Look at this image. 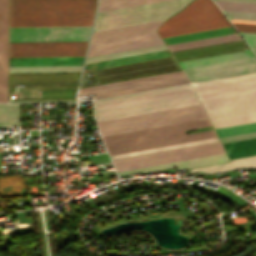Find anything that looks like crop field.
Listing matches in <instances>:
<instances>
[{
	"label": "crop field",
	"mask_w": 256,
	"mask_h": 256,
	"mask_svg": "<svg viewBox=\"0 0 256 256\" xmlns=\"http://www.w3.org/2000/svg\"><path fill=\"white\" fill-rule=\"evenodd\" d=\"M193 85L215 128L256 121V72Z\"/></svg>",
	"instance_id": "1"
},
{
	"label": "crop field",
	"mask_w": 256,
	"mask_h": 256,
	"mask_svg": "<svg viewBox=\"0 0 256 256\" xmlns=\"http://www.w3.org/2000/svg\"><path fill=\"white\" fill-rule=\"evenodd\" d=\"M97 0H10V27L91 25Z\"/></svg>",
	"instance_id": "2"
},
{
	"label": "crop field",
	"mask_w": 256,
	"mask_h": 256,
	"mask_svg": "<svg viewBox=\"0 0 256 256\" xmlns=\"http://www.w3.org/2000/svg\"><path fill=\"white\" fill-rule=\"evenodd\" d=\"M199 103L192 85L187 84L97 100L94 107L99 122Z\"/></svg>",
	"instance_id": "3"
},
{
	"label": "crop field",
	"mask_w": 256,
	"mask_h": 256,
	"mask_svg": "<svg viewBox=\"0 0 256 256\" xmlns=\"http://www.w3.org/2000/svg\"><path fill=\"white\" fill-rule=\"evenodd\" d=\"M211 125L209 120H200L110 136L103 141L109 155L215 137L214 130L186 135L184 130Z\"/></svg>",
	"instance_id": "4"
},
{
	"label": "crop field",
	"mask_w": 256,
	"mask_h": 256,
	"mask_svg": "<svg viewBox=\"0 0 256 256\" xmlns=\"http://www.w3.org/2000/svg\"><path fill=\"white\" fill-rule=\"evenodd\" d=\"M164 21V20H163ZM163 21L151 22L135 26L123 27L107 31L95 32L92 38L105 35L117 34L133 30L145 29L159 26ZM156 28L133 31L117 35L94 38L91 40L88 56L112 53L139 47L162 44L163 41L156 33Z\"/></svg>",
	"instance_id": "5"
},
{
	"label": "crop field",
	"mask_w": 256,
	"mask_h": 256,
	"mask_svg": "<svg viewBox=\"0 0 256 256\" xmlns=\"http://www.w3.org/2000/svg\"><path fill=\"white\" fill-rule=\"evenodd\" d=\"M189 1L190 0H170L100 12L98 13L93 32L163 20L176 13Z\"/></svg>",
	"instance_id": "6"
},
{
	"label": "crop field",
	"mask_w": 256,
	"mask_h": 256,
	"mask_svg": "<svg viewBox=\"0 0 256 256\" xmlns=\"http://www.w3.org/2000/svg\"><path fill=\"white\" fill-rule=\"evenodd\" d=\"M207 117L201 104L155 113L99 122L101 135L151 128Z\"/></svg>",
	"instance_id": "7"
},
{
	"label": "crop field",
	"mask_w": 256,
	"mask_h": 256,
	"mask_svg": "<svg viewBox=\"0 0 256 256\" xmlns=\"http://www.w3.org/2000/svg\"><path fill=\"white\" fill-rule=\"evenodd\" d=\"M173 57L84 72L82 87L180 71Z\"/></svg>",
	"instance_id": "8"
},
{
	"label": "crop field",
	"mask_w": 256,
	"mask_h": 256,
	"mask_svg": "<svg viewBox=\"0 0 256 256\" xmlns=\"http://www.w3.org/2000/svg\"><path fill=\"white\" fill-rule=\"evenodd\" d=\"M223 152L224 150L220 142H217L126 159L114 160L112 162L116 170L119 171Z\"/></svg>",
	"instance_id": "9"
},
{
	"label": "crop field",
	"mask_w": 256,
	"mask_h": 256,
	"mask_svg": "<svg viewBox=\"0 0 256 256\" xmlns=\"http://www.w3.org/2000/svg\"><path fill=\"white\" fill-rule=\"evenodd\" d=\"M91 26L10 28V42L88 41Z\"/></svg>",
	"instance_id": "10"
},
{
	"label": "crop field",
	"mask_w": 256,
	"mask_h": 256,
	"mask_svg": "<svg viewBox=\"0 0 256 256\" xmlns=\"http://www.w3.org/2000/svg\"><path fill=\"white\" fill-rule=\"evenodd\" d=\"M87 43H10V57L84 56Z\"/></svg>",
	"instance_id": "11"
},
{
	"label": "crop field",
	"mask_w": 256,
	"mask_h": 256,
	"mask_svg": "<svg viewBox=\"0 0 256 256\" xmlns=\"http://www.w3.org/2000/svg\"><path fill=\"white\" fill-rule=\"evenodd\" d=\"M192 82L256 71V58H246L184 69Z\"/></svg>",
	"instance_id": "12"
},
{
	"label": "crop field",
	"mask_w": 256,
	"mask_h": 256,
	"mask_svg": "<svg viewBox=\"0 0 256 256\" xmlns=\"http://www.w3.org/2000/svg\"><path fill=\"white\" fill-rule=\"evenodd\" d=\"M187 82H189V80L187 79L185 74H182V75L152 79L147 81L117 85L112 87L82 91L80 92L79 95L96 94L94 98L96 99V98L108 97V96L125 94L130 92L142 91L147 89H153L158 87L170 86L175 84L187 83Z\"/></svg>",
	"instance_id": "13"
},
{
	"label": "crop field",
	"mask_w": 256,
	"mask_h": 256,
	"mask_svg": "<svg viewBox=\"0 0 256 256\" xmlns=\"http://www.w3.org/2000/svg\"><path fill=\"white\" fill-rule=\"evenodd\" d=\"M0 102L8 103V0H0Z\"/></svg>",
	"instance_id": "14"
},
{
	"label": "crop field",
	"mask_w": 256,
	"mask_h": 256,
	"mask_svg": "<svg viewBox=\"0 0 256 256\" xmlns=\"http://www.w3.org/2000/svg\"><path fill=\"white\" fill-rule=\"evenodd\" d=\"M246 49L247 47L245 46V44L241 40H238V41L208 45L203 47L173 51L172 54L177 59V61H180V60H186V59H192V58H198V57H204V56H210V55H216V54H222V53H228V52H234V51H240V50H246Z\"/></svg>",
	"instance_id": "15"
},
{
	"label": "crop field",
	"mask_w": 256,
	"mask_h": 256,
	"mask_svg": "<svg viewBox=\"0 0 256 256\" xmlns=\"http://www.w3.org/2000/svg\"><path fill=\"white\" fill-rule=\"evenodd\" d=\"M226 161H229V159L226 153H223V154L211 155V156L200 157L195 159L138 168L133 170L121 171L119 173L120 175H123V174H129L134 172H140V171L146 172V171L158 170V169L175 167V166H178V170H180V169H185L190 167H196V166H202V165H208V164H214V163H220V162H226Z\"/></svg>",
	"instance_id": "16"
},
{
	"label": "crop field",
	"mask_w": 256,
	"mask_h": 256,
	"mask_svg": "<svg viewBox=\"0 0 256 256\" xmlns=\"http://www.w3.org/2000/svg\"><path fill=\"white\" fill-rule=\"evenodd\" d=\"M79 73L10 75V84L78 83Z\"/></svg>",
	"instance_id": "17"
},
{
	"label": "crop field",
	"mask_w": 256,
	"mask_h": 256,
	"mask_svg": "<svg viewBox=\"0 0 256 256\" xmlns=\"http://www.w3.org/2000/svg\"><path fill=\"white\" fill-rule=\"evenodd\" d=\"M84 57L10 58V66L82 65Z\"/></svg>",
	"instance_id": "18"
},
{
	"label": "crop field",
	"mask_w": 256,
	"mask_h": 256,
	"mask_svg": "<svg viewBox=\"0 0 256 256\" xmlns=\"http://www.w3.org/2000/svg\"><path fill=\"white\" fill-rule=\"evenodd\" d=\"M231 162L210 165L205 167L193 168L189 170V173L200 172L201 174H212L221 171H230L238 168H256V155L244 158L232 159Z\"/></svg>",
	"instance_id": "19"
},
{
	"label": "crop field",
	"mask_w": 256,
	"mask_h": 256,
	"mask_svg": "<svg viewBox=\"0 0 256 256\" xmlns=\"http://www.w3.org/2000/svg\"><path fill=\"white\" fill-rule=\"evenodd\" d=\"M169 56H171V54L169 50H166V51L137 55L132 57L120 58L115 60L89 63V64H86L84 71L103 68V67H109V66H115V65H121V64H127V63H133V62H139V61H145V60H151V59H157V58H163V57H169Z\"/></svg>",
	"instance_id": "20"
},
{
	"label": "crop field",
	"mask_w": 256,
	"mask_h": 256,
	"mask_svg": "<svg viewBox=\"0 0 256 256\" xmlns=\"http://www.w3.org/2000/svg\"><path fill=\"white\" fill-rule=\"evenodd\" d=\"M229 159L256 154V138L222 144Z\"/></svg>",
	"instance_id": "21"
},
{
	"label": "crop field",
	"mask_w": 256,
	"mask_h": 256,
	"mask_svg": "<svg viewBox=\"0 0 256 256\" xmlns=\"http://www.w3.org/2000/svg\"><path fill=\"white\" fill-rule=\"evenodd\" d=\"M251 56H253L252 53L249 50H246V51L180 61L179 64L182 66V68H185V67L209 64V63H215V62H221V61H227V60H233V59H239V58H245V57H251Z\"/></svg>",
	"instance_id": "22"
},
{
	"label": "crop field",
	"mask_w": 256,
	"mask_h": 256,
	"mask_svg": "<svg viewBox=\"0 0 256 256\" xmlns=\"http://www.w3.org/2000/svg\"><path fill=\"white\" fill-rule=\"evenodd\" d=\"M233 33H234L233 29L231 27H228V28L210 30L205 32L187 34L182 36L164 38L163 41L166 43V45H169V44L187 42L192 40L210 38V37L233 34Z\"/></svg>",
	"instance_id": "23"
},
{
	"label": "crop field",
	"mask_w": 256,
	"mask_h": 256,
	"mask_svg": "<svg viewBox=\"0 0 256 256\" xmlns=\"http://www.w3.org/2000/svg\"><path fill=\"white\" fill-rule=\"evenodd\" d=\"M217 141H219V140H218L217 137H215V138H209V139H203V140H198V141L186 142V143H181V144L169 145V146H164V147H158V148L146 149V150H141V151L129 152V153H124V154L112 155L110 157H111L112 160H114V159L126 158V157H131V156L143 155V154H148V153L160 152V151H165V150L183 148V147L200 145V144L217 142Z\"/></svg>",
	"instance_id": "24"
},
{
	"label": "crop field",
	"mask_w": 256,
	"mask_h": 256,
	"mask_svg": "<svg viewBox=\"0 0 256 256\" xmlns=\"http://www.w3.org/2000/svg\"><path fill=\"white\" fill-rule=\"evenodd\" d=\"M166 49H167V47L165 46V44L156 45V46L139 48V49L117 52V53H112V54L89 57V58H87L86 63L100 61V60H106V59H112V58H118V57H124V56H130V55H136V54H142V53H148V52H154V51H160V50H166Z\"/></svg>",
	"instance_id": "25"
},
{
	"label": "crop field",
	"mask_w": 256,
	"mask_h": 256,
	"mask_svg": "<svg viewBox=\"0 0 256 256\" xmlns=\"http://www.w3.org/2000/svg\"><path fill=\"white\" fill-rule=\"evenodd\" d=\"M0 126H20L18 104H0Z\"/></svg>",
	"instance_id": "26"
},
{
	"label": "crop field",
	"mask_w": 256,
	"mask_h": 256,
	"mask_svg": "<svg viewBox=\"0 0 256 256\" xmlns=\"http://www.w3.org/2000/svg\"><path fill=\"white\" fill-rule=\"evenodd\" d=\"M163 0H100L99 10L106 11L112 9H118L123 7L147 4L152 2H158Z\"/></svg>",
	"instance_id": "27"
},
{
	"label": "crop field",
	"mask_w": 256,
	"mask_h": 256,
	"mask_svg": "<svg viewBox=\"0 0 256 256\" xmlns=\"http://www.w3.org/2000/svg\"><path fill=\"white\" fill-rule=\"evenodd\" d=\"M77 88H39V98H75Z\"/></svg>",
	"instance_id": "28"
},
{
	"label": "crop field",
	"mask_w": 256,
	"mask_h": 256,
	"mask_svg": "<svg viewBox=\"0 0 256 256\" xmlns=\"http://www.w3.org/2000/svg\"><path fill=\"white\" fill-rule=\"evenodd\" d=\"M82 66L10 67V72L80 71Z\"/></svg>",
	"instance_id": "29"
},
{
	"label": "crop field",
	"mask_w": 256,
	"mask_h": 256,
	"mask_svg": "<svg viewBox=\"0 0 256 256\" xmlns=\"http://www.w3.org/2000/svg\"><path fill=\"white\" fill-rule=\"evenodd\" d=\"M218 136H227L250 131H256V122L215 129Z\"/></svg>",
	"instance_id": "30"
},
{
	"label": "crop field",
	"mask_w": 256,
	"mask_h": 256,
	"mask_svg": "<svg viewBox=\"0 0 256 256\" xmlns=\"http://www.w3.org/2000/svg\"><path fill=\"white\" fill-rule=\"evenodd\" d=\"M256 137V132L227 136L219 138L221 143Z\"/></svg>",
	"instance_id": "31"
},
{
	"label": "crop field",
	"mask_w": 256,
	"mask_h": 256,
	"mask_svg": "<svg viewBox=\"0 0 256 256\" xmlns=\"http://www.w3.org/2000/svg\"><path fill=\"white\" fill-rule=\"evenodd\" d=\"M238 31H245V32H256V25L252 24H238V23H233Z\"/></svg>",
	"instance_id": "32"
},
{
	"label": "crop field",
	"mask_w": 256,
	"mask_h": 256,
	"mask_svg": "<svg viewBox=\"0 0 256 256\" xmlns=\"http://www.w3.org/2000/svg\"><path fill=\"white\" fill-rule=\"evenodd\" d=\"M240 34L248 42L249 46H256V33L240 32Z\"/></svg>",
	"instance_id": "33"
},
{
	"label": "crop field",
	"mask_w": 256,
	"mask_h": 256,
	"mask_svg": "<svg viewBox=\"0 0 256 256\" xmlns=\"http://www.w3.org/2000/svg\"><path fill=\"white\" fill-rule=\"evenodd\" d=\"M75 102V100L9 101V103Z\"/></svg>",
	"instance_id": "34"
},
{
	"label": "crop field",
	"mask_w": 256,
	"mask_h": 256,
	"mask_svg": "<svg viewBox=\"0 0 256 256\" xmlns=\"http://www.w3.org/2000/svg\"><path fill=\"white\" fill-rule=\"evenodd\" d=\"M231 22H239V23H253L256 24V21H250V20H236V19H230Z\"/></svg>",
	"instance_id": "35"
},
{
	"label": "crop field",
	"mask_w": 256,
	"mask_h": 256,
	"mask_svg": "<svg viewBox=\"0 0 256 256\" xmlns=\"http://www.w3.org/2000/svg\"><path fill=\"white\" fill-rule=\"evenodd\" d=\"M221 1H237V2H252V3H256V0H221Z\"/></svg>",
	"instance_id": "36"
},
{
	"label": "crop field",
	"mask_w": 256,
	"mask_h": 256,
	"mask_svg": "<svg viewBox=\"0 0 256 256\" xmlns=\"http://www.w3.org/2000/svg\"><path fill=\"white\" fill-rule=\"evenodd\" d=\"M253 50H256V47H252Z\"/></svg>",
	"instance_id": "37"
},
{
	"label": "crop field",
	"mask_w": 256,
	"mask_h": 256,
	"mask_svg": "<svg viewBox=\"0 0 256 256\" xmlns=\"http://www.w3.org/2000/svg\"><path fill=\"white\" fill-rule=\"evenodd\" d=\"M256 53V52H255Z\"/></svg>",
	"instance_id": "38"
}]
</instances>
